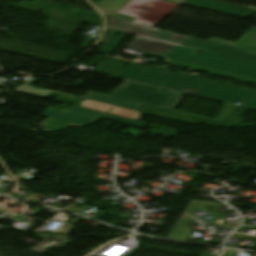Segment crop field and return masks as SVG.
Here are the masks:
<instances>
[{
    "mask_svg": "<svg viewBox=\"0 0 256 256\" xmlns=\"http://www.w3.org/2000/svg\"><path fill=\"white\" fill-rule=\"evenodd\" d=\"M133 67L136 69L139 67V69L135 73H133L134 70L130 72L129 70ZM117 76L154 86H164L172 90L191 93L231 104L241 99L244 101L242 106L256 109V92L220 85L216 82L198 79L180 73L130 62Z\"/></svg>",
    "mask_w": 256,
    "mask_h": 256,
    "instance_id": "obj_1",
    "label": "crop field"
},
{
    "mask_svg": "<svg viewBox=\"0 0 256 256\" xmlns=\"http://www.w3.org/2000/svg\"><path fill=\"white\" fill-rule=\"evenodd\" d=\"M127 47L256 78L254 64L202 51V54L198 55L195 54L198 50L170 43L135 36Z\"/></svg>",
    "mask_w": 256,
    "mask_h": 256,
    "instance_id": "obj_2",
    "label": "crop field"
},
{
    "mask_svg": "<svg viewBox=\"0 0 256 256\" xmlns=\"http://www.w3.org/2000/svg\"><path fill=\"white\" fill-rule=\"evenodd\" d=\"M109 28L256 64V53L110 17Z\"/></svg>",
    "mask_w": 256,
    "mask_h": 256,
    "instance_id": "obj_3",
    "label": "crop field"
},
{
    "mask_svg": "<svg viewBox=\"0 0 256 256\" xmlns=\"http://www.w3.org/2000/svg\"><path fill=\"white\" fill-rule=\"evenodd\" d=\"M183 94L126 81L109 95L90 91L83 98L135 110L145 104L175 110Z\"/></svg>",
    "mask_w": 256,
    "mask_h": 256,
    "instance_id": "obj_4",
    "label": "crop field"
},
{
    "mask_svg": "<svg viewBox=\"0 0 256 256\" xmlns=\"http://www.w3.org/2000/svg\"><path fill=\"white\" fill-rule=\"evenodd\" d=\"M175 5L161 0H132L117 13L137 17L136 23L151 26L166 16Z\"/></svg>",
    "mask_w": 256,
    "mask_h": 256,
    "instance_id": "obj_5",
    "label": "crop field"
},
{
    "mask_svg": "<svg viewBox=\"0 0 256 256\" xmlns=\"http://www.w3.org/2000/svg\"><path fill=\"white\" fill-rule=\"evenodd\" d=\"M43 115L66 120L81 125H91L97 122L101 117L139 127H144L146 125L145 122L78 106H74L66 112L48 109L43 113Z\"/></svg>",
    "mask_w": 256,
    "mask_h": 256,
    "instance_id": "obj_6",
    "label": "crop field"
},
{
    "mask_svg": "<svg viewBox=\"0 0 256 256\" xmlns=\"http://www.w3.org/2000/svg\"><path fill=\"white\" fill-rule=\"evenodd\" d=\"M15 90L24 92V93L38 95V96H41L44 98H46L49 94H51L53 92V91L37 89L35 87L28 86L25 84L15 88ZM59 94L60 95L57 98H55L54 100L64 101V102H68V103L73 102V103L80 104V106H83V107L101 110V111L129 117V118L137 119V120H139V118L142 114L137 111H132V110H128V109H124V108H120V107H116V106H112V105H107V104H103V103H99V102H95V101H91V100H87V99H84L86 101L83 102V101H79V100H75L72 98L61 96L63 93H59Z\"/></svg>",
    "mask_w": 256,
    "mask_h": 256,
    "instance_id": "obj_7",
    "label": "crop field"
},
{
    "mask_svg": "<svg viewBox=\"0 0 256 256\" xmlns=\"http://www.w3.org/2000/svg\"><path fill=\"white\" fill-rule=\"evenodd\" d=\"M182 4L209 9L213 11H218L222 13H227L231 15H236L240 17H243L244 15H246L248 12L252 10V8L231 5V4H227V3H223L215 0H184Z\"/></svg>",
    "mask_w": 256,
    "mask_h": 256,
    "instance_id": "obj_8",
    "label": "crop field"
},
{
    "mask_svg": "<svg viewBox=\"0 0 256 256\" xmlns=\"http://www.w3.org/2000/svg\"><path fill=\"white\" fill-rule=\"evenodd\" d=\"M151 56L164 59L165 60L164 62H166V63H170V64L206 72L209 74H213V75H217V76H221V77H225V78H229V79H234V80H238V81L256 84L255 78L246 77V76H242V75H238V74H234V73H230V72H225V71H221V70H217V69H213V68H208V67H204V66H200V65H196V64H192V63H187V62H183V61H179V60H175V59H170V58H166V57H162V56H158V55H154V54H151Z\"/></svg>",
    "mask_w": 256,
    "mask_h": 256,
    "instance_id": "obj_9",
    "label": "crop field"
},
{
    "mask_svg": "<svg viewBox=\"0 0 256 256\" xmlns=\"http://www.w3.org/2000/svg\"><path fill=\"white\" fill-rule=\"evenodd\" d=\"M129 1L130 0H101L99 3L97 2L98 4H96V6H98L101 10H103L108 16L134 22L136 18L115 14ZM166 1L179 3L182 0H166Z\"/></svg>",
    "mask_w": 256,
    "mask_h": 256,
    "instance_id": "obj_10",
    "label": "crop field"
},
{
    "mask_svg": "<svg viewBox=\"0 0 256 256\" xmlns=\"http://www.w3.org/2000/svg\"><path fill=\"white\" fill-rule=\"evenodd\" d=\"M97 66H100L95 71L103 72L106 74L114 75L116 76L123 68L124 66L129 63L128 61L115 59L111 57L105 56V58L98 57L97 58Z\"/></svg>",
    "mask_w": 256,
    "mask_h": 256,
    "instance_id": "obj_11",
    "label": "crop field"
},
{
    "mask_svg": "<svg viewBox=\"0 0 256 256\" xmlns=\"http://www.w3.org/2000/svg\"><path fill=\"white\" fill-rule=\"evenodd\" d=\"M209 40L256 52V30L250 29L236 43L214 37Z\"/></svg>",
    "mask_w": 256,
    "mask_h": 256,
    "instance_id": "obj_12",
    "label": "crop field"
},
{
    "mask_svg": "<svg viewBox=\"0 0 256 256\" xmlns=\"http://www.w3.org/2000/svg\"><path fill=\"white\" fill-rule=\"evenodd\" d=\"M41 125L46 126L44 129H42L39 133L41 132H56V131H61L67 128L68 126H78L81 128H84L85 126L65 122L62 120L54 119L48 117L45 121L41 123Z\"/></svg>",
    "mask_w": 256,
    "mask_h": 256,
    "instance_id": "obj_13",
    "label": "crop field"
},
{
    "mask_svg": "<svg viewBox=\"0 0 256 256\" xmlns=\"http://www.w3.org/2000/svg\"><path fill=\"white\" fill-rule=\"evenodd\" d=\"M238 253H239L238 251L230 250L227 256H237Z\"/></svg>",
    "mask_w": 256,
    "mask_h": 256,
    "instance_id": "obj_14",
    "label": "crop field"
},
{
    "mask_svg": "<svg viewBox=\"0 0 256 256\" xmlns=\"http://www.w3.org/2000/svg\"><path fill=\"white\" fill-rule=\"evenodd\" d=\"M94 5L99 2L100 0H90Z\"/></svg>",
    "mask_w": 256,
    "mask_h": 256,
    "instance_id": "obj_15",
    "label": "crop field"
},
{
    "mask_svg": "<svg viewBox=\"0 0 256 256\" xmlns=\"http://www.w3.org/2000/svg\"><path fill=\"white\" fill-rule=\"evenodd\" d=\"M252 29H256V25H253Z\"/></svg>",
    "mask_w": 256,
    "mask_h": 256,
    "instance_id": "obj_16",
    "label": "crop field"
}]
</instances>
